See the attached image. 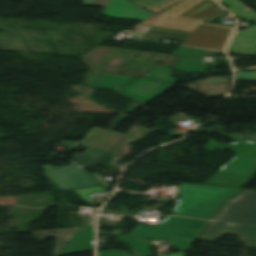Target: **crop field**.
<instances>
[{"label":"crop field","mask_w":256,"mask_h":256,"mask_svg":"<svg viewBox=\"0 0 256 256\" xmlns=\"http://www.w3.org/2000/svg\"><path fill=\"white\" fill-rule=\"evenodd\" d=\"M223 14L213 0H187L143 24L193 32L181 45L224 50L234 28L200 22L213 21Z\"/></svg>","instance_id":"crop-field-1"},{"label":"crop field","mask_w":256,"mask_h":256,"mask_svg":"<svg viewBox=\"0 0 256 256\" xmlns=\"http://www.w3.org/2000/svg\"><path fill=\"white\" fill-rule=\"evenodd\" d=\"M225 234L256 247V191L245 190L227 202L199 239L215 242Z\"/></svg>","instance_id":"crop-field-2"},{"label":"crop field","mask_w":256,"mask_h":256,"mask_svg":"<svg viewBox=\"0 0 256 256\" xmlns=\"http://www.w3.org/2000/svg\"><path fill=\"white\" fill-rule=\"evenodd\" d=\"M224 136L238 142L222 144L209 141L204 149L214 152L216 149H229L236 153L232 161L223 166L221 172L211 177L206 184L243 188L256 175V143L246 141L237 135Z\"/></svg>","instance_id":"crop-field-3"},{"label":"crop field","mask_w":256,"mask_h":256,"mask_svg":"<svg viewBox=\"0 0 256 256\" xmlns=\"http://www.w3.org/2000/svg\"><path fill=\"white\" fill-rule=\"evenodd\" d=\"M241 189L182 183L174 215L211 219L220 205Z\"/></svg>","instance_id":"crop-field-4"},{"label":"crop field","mask_w":256,"mask_h":256,"mask_svg":"<svg viewBox=\"0 0 256 256\" xmlns=\"http://www.w3.org/2000/svg\"><path fill=\"white\" fill-rule=\"evenodd\" d=\"M126 118L127 116L120 115L108 131L93 128L81 143L89 149L85 154L75 153L72 160L89 166L99 165L124 136L112 131Z\"/></svg>","instance_id":"crop-field-5"},{"label":"crop field","mask_w":256,"mask_h":256,"mask_svg":"<svg viewBox=\"0 0 256 256\" xmlns=\"http://www.w3.org/2000/svg\"><path fill=\"white\" fill-rule=\"evenodd\" d=\"M65 168L44 167V174L62 191L99 185L79 164L70 163Z\"/></svg>","instance_id":"crop-field-6"},{"label":"crop field","mask_w":256,"mask_h":256,"mask_svg":"<svg viewBox=\"0 0 256 256\" xmlns=\"http://www.w3.org/2000/svg\"><path fill=\"white\" fill-rule=\"evenodd\" d=\"M223 4L231 6L228 11L235 17H243L256 22V14L247 9L244 5L236 0H218ZM241 11L243 13L238 15ZM227 52H237L249 55L256 54V25L245 32L236 31Z\"/></svg>","instance_id":"crop-field-7"},{"label":"crop field","mask_w":256,"mask_h":256,"mask_svg":"<svg viewBox=\"0 0 256 256\" xmlns=\"http://www.w3.org/2000/svg\"><path fill=\"white\" fill-rule=\"evenodd\" d=\"M172 87L173 86L141 78L120 91L119 93L126 94L130 97L146 103Z\"/></svg>","instance_id":"crop-field-8"},{"label":"crop field","mask_w":256,"mask_h":256,"mask_svg":"<svg viewBox=\"0 0 256 256\" xmlns=\"http://www.w3.org/2000/svg\"><path fill=\"white\" fill-rule=\"evenodd\" d=\"M103 14L110 18L135 20H144L154 15L153 13L125 0H110Z\"/></svg>","instance_id":"crop-field-9"},{"label":"crop field","mask_w":256,"mask_h":256,"mask_svg":"<svg viewBox=\"0 0 256 256\" xmlns=\"http://www.w3.org/2000/svg\"><path fill=\"white\" fill-rule=\"evenodd\" d=\"M94 229L95 227L81 225L59 255L93 250Z\"/></svg>","instance_id":"crop-field-10"},{"label":"crop field","mask_w":256,"mask_h":256,"mask_svg":"<svg viewBox=\"0 0 256 256\" xmlns=\"http://www.w3.org/2000/svg\"><path fill=\"white\" fill-rule=\"evenodd\" d=\"M140 238L150 239V240L162 239V240H168V241H172L173 239L171 237L149 235V234H142V233H135V232H131L126 237L118 236L117 239L130 244L132 249L129 251H131L136 256H152L151 252L148 251L150 248V245L148 244L151 243V241L140 239Z\"/></svg>","instance_id":"crop-field-11"},{"label":"crop field","mask_w":256,"mask_h":256,"mask_svg":"<svg viewBox=\"0 0 256 256\" xmlns=\"http://www.w3.org/2000/svg\"><path fill=\"white\" fill-rule=\"evenodd\" d=\"M133 79L135 78L94 72L88 86L116 90Z\"/></svg>","instance_id":"crop-field-12"},{"label":"crop field","mask_w":256,"mask_h":256,"mask_svg":"<svg viewBox=\"0 0 256 256\" xmlns=\"http://www.w3.org/2000/svg\"><path fill=\"white\" fill-rule=\"evenodd\" d=\"M133 231L149 233V234L164 235V236H171V237L191 238V239H196L197 236L200 234L197 232H190V231L181 230V229L144 225V224H138Z\"/></svg>","instance_id":"crop-field-13"},{"label":"crop field","mask_w":256,"mask_h":256,"mask_svg":"<svg viewBox=\"0 0 256 256\" xmlns=\"http://www.w3.org/2000/svg\"><path fill=\"white\" fill-rule=\"evenodd\" d=\"M77 229L78 228L37 231L33 232V234L38 241H43L50 237H56L57 243L54 251V256H56L66 245V243L70 240V238L74 235ZM52 232H55V234H52ZM57 232H60V234H57Z\"/></svg>","instance_id":"crop-field-14"},{"label":"crop field","mask_w":256,"mask_h":256,"mask_svg":"<svg viewBox=\"0 0 256 256\" xmlns=\"http://www.w3.org/2000/svg\"><path fill=\"white\" fill-rule=\"evenodd\" d=\"M207 224H208V222H206V221L169 217V218L161 221L158 225L202 231Z\"/></svg>","instance_id":"crop-field-15"},{"label":"crop field","mask_w":256,"mask_h":256,"mask_svg":"<svg viewBox=\"0 0 256 256\" xmlns=\"http://www.w3.org/2000/svg\"><path fill=\"white\" fill-rule=\"evenodd\" d=\"M208 64L192 59L182 58L175 69L185 72L206 73Z\"/></svg>","instance_id":"crop-field-16"},{"label":"crop field","mask_w":256,"mask_h":256,"mask_svg":"<svg viewBox=\"0 0 256 256\" xmlns=\"http://www.w3.org/2000/svg\"><path fill=\"white\" fill-rule=\"evenodd\" d=\"M170 74H171L170 69L158 66V67L152 69L146 75V77L152 78L157 81L165 82V83H170V84L176 83L178 80L170 78Z\"/></svg>","instance_id":"crop-field-17"},{"label":"crop field","mask_w":256,"mask_h":256,"mask_svg":"<svg viewBox=\"0 0 256 256\" xmlns=\"http://www.w3.org/2000/svg\"><path fill=\"white\" fill-rule=\"evenodd\" d=\"M204 52L205 51H203V50H196V49L179 47L174 54L200 58L203 55Z\"/></svg>","instance_id":"crop-field-18"},{"label":"crop field","mask_w":256,"mask_h":256,"mask_svg":"<svg viewBox=\"0 0 256 256\" xmlns=\"http://www.w3.org/2000/svg\"><path fill=\"white\" fill-rule=\"evenodd\" d=\"M192 241L193 240L190 239L174 238L170 245H176V250H181L180 252H184L190 248Z\"/></svg>","instance_id":"crop-field-19"},{"label":"crop field","mask_w":256,"mask_h":256,"mask_svg":"<svg viewBox=\"0 0 256 256\" xmlns=\"http://www.w3.org/2000/svg\"><path fill=\"white\" fill-rule=\"evenodd\" d=\"M98 256H130L126 252H120V251H102L98 252Z\"/></svg>","instance_id":"crop-field-20"},{"label":"crop field","mask_w":256,"mask_h":256,"mask_svg":"<svg viewBox=\"0 0 256 256\" xmlns=\"http://www.w3.org/2000/svg\"><path fill=\"white\" fill-rule=\"evenodd\" d=\"M108 0H83V5L102 6L105 7Z\"/></svg>","instance_id":"crop-field-21"},{"label":"crop field","mask_w":256,"mask_h":256,"mask_svg":"<svg viewBox=\"0 0 256 256\" xmlns=\"http://www.w3.org/2000/svg\"><path fill=\"white\" fill-rule=\"evenodd\" d=\"M237 80H256V72L255 73H238L236 76Z\"/></svg>","instance_id":"crop-field-22"},{"label":"crop field","mask_w":256,"mask_h":256,"mask_svg":"<svg viewBox=\"0 0 256 256\" xmlns=\"http://www.w3.org/2000/svg\"><path fill=\"white\" fill-rule=\"evenodd\" d=\"M178 1H180V0H171V1H169V2H167V3H165V4L161 5V6H159V7L155 8V9H153V10H151V8L146 7V6H144V5H141V6L145 7V8L148 9V10H151V11L155 12V11H157V10L163 8V7H166V6H168V5H171V4L176 3V2H178Z\"/></svg>","instance_id":"crop-field-23"},{"label":"crop field","mask_w":256,"mask_h":256,"mask_svg":"<svg viewBox=\"0 0 256 256\" xmlns=\"http://www.w3.org/2000/svg\"><path fill=\"white\" fill-rule=\"evenodd\" d=\"M62 143L68 144V146L72 148H77V144H78L76 142H68V141H62Z\"/></svg>","instance_id":"crop-field-24"},{"label":"crop field","mask_w":256,"mask_h":256,"mask_svg":"<svg viewBox=\"0 0 256 256\" xmlns=\"http://www.w3.org/2000/svg\"><path fill=\"white\" fill-rule=\"evenodd\" d=\"M167 11V9L166 10H164V11H162V12H160V13H158L157 15H156V17H160L164 12H166Z\"/></svg>","instance_id":"crop-field-25"},{"label":"crop field","mask_w":256,"mask_h":256,"mask_svg":"<svg viewBox=\"0 0 256 256\" xmlns=\"http://www.w3.org/2000/svg\"><path fill=\"white\" fill-rule=\"evenodd\" d=\"M242 137H244V138H246V139H250V140L256 141V137H255V138H250V137H245V136H242Z\"/></svg>","instance_id":"crop-field-26"}]
</instances>
